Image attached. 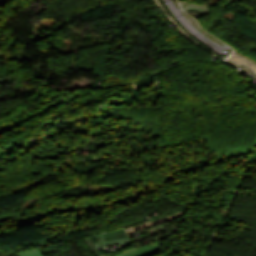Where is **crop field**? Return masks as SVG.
<instances>
[{"instance_id":"1","label":"crop field","mask_w":256,"mask_h":256,"mask_svg":"<svg viewBox=\"0 0 256 256\" xmlns=\"http://www.w3.org/2000/svg\"><path fill=\"white\" fill-rule=\"evenodd\" d=\"M166 230H167V228L165 226L160 225V226H157L155 228L148 229L147 232L149 234L139 236V237H136V238H133V239H130L129 237H126V238H121V239L112 240V241H105L104 238L102 237V235L94 236V239H95V242H96L98 248H103V247H107L108 245H112V244H126L127 245L131 241L140 240V239L146 238L148 236L164 232Z\"/></svg>"},{"instance_id":"2","label":"crop field","mask_w":256,"mask_h":256,"mask_svg":"<svg viewBox=\"0 0 256 256\" xmlns=\"http://www.w3.org/2000/svg\"><path fill=\"white\" fill-rule=\"evenodd\" d=\"M161 243L162 242L159 241L157 243L149 244L145 247H141L138 249H130L117 256H150L161 252V249L159 247Z\"/></svg>"},{"instance_id":"3","label":"crop field","mask_w":256,"mask_h":256,"mask_svg":"<svg viewBox=\"0 0 256 256\" xmlns=\"http://www.w3.org/2000/svg\"><path fill=\"white\" fill-rule=\"evenodd\" d=\"M185 212H186V210H184V211H182L180 213L168 216V217H164V218H161V219H158V220H154V221L145 223L143 225H140V226H137V227H134V228H131V229H127V232H128V234H130V233H132L134 231H137V230H140V229L152 226V225L160 224V223L169 221V220L174 219V218L183 217Z\"/></svg>"},{"instance_id":"4","label":"crop field","mask_w":256,"mask_h":256,"mask_svg":"<svg viewBox=\"0 0 256 256\" xmlns=\"http://www.w3.org/2000/svg\"><path fill=\"white\" fill-rule=\"evenodd\" d=\"M126 236L128 235L124 229L103 234V237L105 238V240H112V239H117V238L126 237Z\"/></svg>"},{"instance_id":"5","label":"crop field","mask_w":256,"mask_h":256,"mask_svg":"<svg viewBox=\"0 0 256 256\" xmlns=\"http://www.w3.org/2000/svg\"><path fill=\"white\" fill-rule=\"evenodd\" d=\"M84 239H85L89 249L91 250V252L95 253L97 256H100V254L98 253L97 248L94 244V241H93L92 237L89 236V237H85Z\"/></svg>"}]
</instances>
